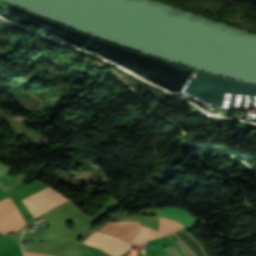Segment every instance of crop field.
<instances>
[{"instance_id": "1", "label": "crop field", "mask_w": 256, "mask_h": 256, "mask_svg": "<svg viewBox=\"0 0 256 256\" xmlns=\"http://www.w3.org/2000/svg\"><path fill=\"white\" fill-rule=\"evenodd\" d=\"M66 200L68 199L48 186L21 201L27 207L32 219H34Z\"/></svg>"}, {"instance_id": "2", "label": "crop field", "mask_w": 256, "mask_h": 256, "mask_svg": "<svg viewBox=\"0 0 256 256\" xmlns=\"http://www.w3.org/2000/svg\"><path fill=\"white\" fill-rule=\"evenodd\" d=\"M25 222L17 212L11 199L0 201V232L5 234L16 231L23 226Z\"/></svg>"}, {"instance_id": "3", "label": "crop field", "mask_w": 256, "mask_h": 256, "mask_svg": "<svg viewBox=\"0 0 256 256\" xmlns=\"http://www.w3.org/2000/svg\"><path fill=\"white\" fill-rule=\"evenodd\" d=\"M160 222L167 225V226H170L176 230L178 229H181L183 227H186L184 225H181L177 222H174V221H171V220H168V219H164V218H161L160 217ZM160 223V227H159V230L158 232L155 231V230H152V229H148V228H145V227H140V232L135 236V238L131 241V243L135 244V245H138L146 240H149L151 238H154V237H158V236H161V235H165V234H168L170 232H173V231H176L170 227H167L163 224Z\"/></svg>"}, {"instance_id": "4", "label": "crop field", "mask_w": 256, "mask_h": 256, "mask_svg": "<svg viewBox=\"0 0 256 256\" xmlns=\"http://www.w3.org/2000/svg\"><path fill=\"white\" fill-rule=\"evenodd\" d=\"M138 226L139 222H109L100 231L129 242L137 233Z\"/></svg>"}, {"instance_id": "5", "label": "crop field", "mask_w": 256, "mask_h": 256, "mask_svg": "<svg viewBox=\"0 0 256 256\" xmlns=\"http://www.w3.org/2000/svg\"><path fill=\"white\" fill-rule=\"evenodd\" d=\"M159 215L169 219H175L188 226H191L192 222L194 221L193 216L177 208L159 209Z\"/></svg>"}, {"instance_id": "6", "label": "crop field", "mask_w": 256, "mask_h": 256, "mask_svg": "<svg viewBox=\"0 0 256 256\" xmlns=\"http://www.w3.org/2000/svg\"><path fill=\"white\" fill-rule=\"evenodd\" d=\"M130 246L128 243L115 238L103 251L112 256H119L129 250Z\"/></svg>"}, {"instance_id": "7", "label": "crop field", "mask_w": 256, "mask_h": 256, "mask_svg": "<svg viewBox=\"0 0 256 256\" xmlns=\"http://www.w3.org/2000/svg\"><path fill=\"white\" fill-rule=\"evenodd\" d=\"M25 256H47V255H41V254H36V253H31V252H24Z\"/></svg>"}]
</instances>
